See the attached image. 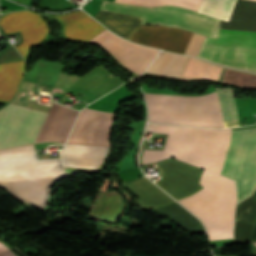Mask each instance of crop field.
<instances>
[{"instance_id":"crop-field-1","label":"crop field","mask_w":256,"mask_h":256,"mask_svg":"<svg viewBox=\"0 0 256 256\" xmlns=\"http://www.w3.org/2000/svg\"><path fill=\"white\" fill-rule=\"evenodd\" d=\"M146 131L169 133L164 151H145L144 164L170 157L204 169L200 179L204 187L179 200L206 225L209 239L232 236L236 200L234 182L219 175L230 129H203L148 124Z\"/></svg>"},{"instance_id":"crop-field-2","label":"crop field","mask_w":256,"mask_h":256,"mask_svg":"<svg viewBox=\"0 0 256 256\" xmlns=\"http://www.w3.org/2000/svg\"><path fill=\"white\" fill-rule=\"evenodd\" d=\"M109 147L66 144L65 166L97 168ZM65 175L60 158L38 160L34 145L0 150V186L12 195L44 209L49 185Z\"/></svg>"},{"instance_id":"crop-field-3","label":"crop field","mask_w":256,"mask_h":256,"mask_svg":"<svg viewBox=\"0 0 256 256\" xmlns=\"http://www.w3.org/2000/svg\"><path fill=\"white\" fill-rule=\"evenodd\" d=\"M144 95L149 111L148 122L223 127L216 92L199 97Z\"/></svg>"},{"instance_id":"crop-field-4","label":"crop field","mask_w":256,"mask_h":256,"mask_svg":"<svg viewBox=\"0 0 256 256\" xmlns=\"http://www.w3.org/2000/svg\"><path fill=\"white\" fill-rule=\"evenodd\" d=\"M196 57L256 72V32L219 29L217 38L205 37Z\"/></svg>"},{"instance_id":"crop-field-5","label":"crop field","mask_w":256,"mask_h":256,"mask_svg":"<svg viewBox=\"0 0 256 256\" xmlns=\"http://www.w3.org/2000/svg\"><path fill=\"white\" fill-rule=\"evenodd\" d=\"M220 174L235 181L237 202L251 195L256 181V127L231 131Z\"/></svg>"},{"instance_id":"crop-field-6","label":"crop field","mask_w":256,"mask_h":256,"mask_svg":"<svg viewBox=\"0 0 256 256\" xmlns=\"http://www.w3.org/2000/svg\"><path fill=\"white\" fill-rule=\"evenodd\" d=\"M100 9L140 16L143 17L142 23L173 26L214 37L220 22L219 19L172 6L144 8L102 1Z\"/></svg>"},{"instance_id":"crop-field-7","label":"crop field","mask_w":256,"mask_h":256,"mask_svg":"<svg viewBox=\"0 0 256 256\" xmlns=\"http://www.w3.org/2000/svg\"><path fill=\"white\" fill-rule=\"evenodd\" d=\"M46 114L12 103L0 110V148L33 143Z\"/></svg>"},{"instance_id":"crop-field-8","label":"crop field","mask_w":256,"mask_h":256,"mask_svg":"<svg viewBox=\"0 0 256 256\" xmlns=\"http://www.w3.org/2000/svg\"><path fill=\"white\" fill-rule=\"evenodd\" d=\"M156 164L162 177L155 183L176 199L190 195L201 188L198 182L202 169L172 159L156 162Z\"/></svg>"},{"instance_id":"crop-field-9","label":"crop field","mask_w":256,"mask_h":256,"mask_svg":"<svg viewBox=\"0 0 256 256\" xmlns=\"http://www.w3.org/2000/svg\"><path fill=\"white\" fill-rule=\"evenodd\" d=\"M91 41L101 44L119 60L120 64L140 75L158 52L157 49L125 41L106 29Z\"/></svg>"},{"instance_id":"crop-field-10","label":"crop field","mask_w":256,"mask_h":256,"mask_svg":"<svg viewBox=\"0 0 256 256\" xmlns=\"http://www.w3.org/2000/svg\"><path fill=\"white\" fill-rule=\"evenodd\" d=\"M0 29L6 33L21 32L22 43L16 48L25 57L28 48L44 38L48 27L39 14L20 11L4 15L0 19Z\"/></svg>"},{"instance_id":"crop-field-11","label":"crop field","mask_w":256,"mask_h":256,"mask_svg":"<svg viewBox=\"0 0 256 256\" xmlns=\"http://www.w3.org/2000/svg\"><path fill=\"white\" fill-rule=\"evenodd\" d=\"M192 34L178 28L141 25L129 40L183 54Z\"/></svg>"},{"instance_id":"crop-field-12","label":"crop field","mask_w":256,"mask_h":256,"mask_svg":"<svg viewBox=\"0 0 256 256\" xmlns=\"http://www.w3.org/2000/svg\"><path fill=\"white\" fill-rule=\"evenodd\" d=\"M78 112L53 103L34 143H64Z\"/></svg>"},{"instance_id":"crop-field-13","label":"crop field","mask_w":256,"mask_h":256,"mask_svg":"<svg viewBox=\"0 0 256 256\" xmlns=\"http://www.w3.org/2000/svg\"><path fill=\"white\" fill-rule=\"evenodd\" d=\"M56 17L64 24L65 35L74 39L88 41L105 29L82 11L58 15Z\"/></svg>"},{"instance_id":"crop-field-14","label":"crop field","mask_w":256,"mask_h":256,"mask_svg":"<svg viewBox=\"0 0 256 256\" xmlns=\"http://www.w3.org/2000/svg\"><path fill=\"white\" fill-rule=\"evenodd\" d=\"M124 185L137 196L138 200L136 203L139 207L156 208L168 205L174 201L145 177Z\"/></svg>"},{"instance_id":"crop-field-15","label":"crop field","mask_w":256,"mask_h":256,"mask_svg":"<svg viewBox=\"0 0 256 256\" xmlns=\"http://www.w3.org/2000/svg\"><path fill=\"white\" fill-rule=\"evenodd\" d=\"M219 28L256 31V2L237 0L229 22L221 20Z\"/></svg>"},{"instance_id":"crop-field-16","label":"crop field","mask_w":256,"mask_h":256,"mask_svg":"<svg viewBox=\"0 0 256 256\" xmlns=\"http://www.w3.org/2000/svg\"><path fill=\"white\" fill-rule=\"evenodd\" d=\"M93 17L109 30L128 39L140 25L142 18L99 10Z\"/></svg>"},{"instance_id":"crop-field-17","label":"crop field","mask_w":256,"mask_h":256,"mask_svg":"<svg viewBox=\"0 0 256 256\" xmlns=\"http://www.w3.org/2000/svg\"><path fill=\"white\" fill-rule=\"evenodd\" d=\"M24 74V61L0 64V101H10Z\"/></svg>"},{"instance_id":"crop-field-18","label":"crop field","mask_w":256,"mask_h":256,"mask_svg":"<svg viewBox=\"0 0 256 256\" xmlns=\"http://www.w3.org/2000/svg\"><path fill=\"white\" fill-rule=\"evenodd\" d=\"M187 58V56L162 51L146 73L180 78Z\"/></svg>"},{"instance_id":"crop-field-19","label":"crop field","mask_w":256,"mask_h":256,"mask_svg":"<svg viewBox=\"0 0 256 256\" xmlns=\"http://www.w3.org/2000/svg\"><path fill=\"white\" fill-rule=\"evenodd\" d=\"M121 209L119 196L100 191L89 217L114 221Z\"/></svg>"},{"instance_id":"crop-field-20","label":"crop field","mask_w":256,"mask_h":256,"mask_svg":"<svg viewBox=\"0 0 256 256\" xmlns=\"http://www.w3.org/2000/svg\"><path fill=\"white\" fill-rule=\"evenodd\" d=\"M224 127L239 125L231 88H216Z\"/></svg>"},{"instance_id":"crop-field-21","label":"crop field","mask_w":256,"mask_h":256,"mask_svg":"<svg viewBox=\"0 0 256 256\" xmlns=\"http://www.w3.org/2000/svg\"><path fill=\"white\" fill-rule=\"evenodd\" d=\"M221 68L198 59L189 58L181 78L207 77L218 79Z\"/></svg>"},{"instance_id":"crop-field-22","label":"crop field","mask_w":256,"mask_h":256,"mask_svg":"<svg viewBox=\"0 0 256 256\" xmlns=\"http://www.w3.org/2000/svg\"><path fill=\"white\" fill-rule=\"evenodd\" d=\"M236 0H202L199 13L228 21Z\"/></svg>"},{"instance_id":"crop-field-23","label":"crop field","mask_w":256,"mask_h":256,"mask_svg":"<svg viewBox=\"0 0 256 256\" xmlns=\"http://www.w3.org/2000/svg\"><path fill=\"white\" fill-rule=\"evenodd\" d=\"M118 3L155 7L161 5H175L197 11L201 0H114Z\"/></svg>"},{"instance_id":"crop-field-24","label":"crop field","mask_w":256,"mask_h":256,"mask_svg":"<svg viewBox=\"0 0 256 256\" xmlns=\"http://www.w3.org/2000/svg\"><path fill=\"white\" fill-rule=\"evenodd\" d=\"M235 220L256 223V200L248 198L236 208Z\"/></svg>"},{"instance_id":"crop-field-25","label":"crop field","mask_w":256,"mask_h":256,"mask_svg":"<svg viewBox=\"0 0 256 256\" xmlns=\"http://www.w3.org/2000/svg\"><path fill=\"white\" fill-rule=\"evenodd\" d=\"M222 83L256 87V76L226 69Z\"/></svg>"},{"instance_id":"crop-field-26","label":"crop field","mask_w":256,"mask_h":256,"mask_svg":"<svg viewBox=\"0 0 256 256\" xmlns=\"http://www.w3.org/2000/svg\"><path fill=\"white\" fill-rule=\"evenodd\" d=\"M255 224L235 222V242H248Z\"/></svg>"},{"instance_id":"crop-field-27","label":"crop field","mask_w":256,"mask_h":256,"mask_svg":"<svg viewBox=\"0 0 256 256\" xmlns=\"http://www.w3.org/2000/svg\"><path fill=\"white\" fill-rule=\"evenodd\" d=\"M203 38V36L194 33L184 54L195 56Z\"/></svg>"},{"instance_id":"crop-field-28","label":"crop field","mask_w":256,"mask_h":256,"mask_svg":"<svg viewBox=\"0 0 256 256\" xmlns=\"http://www.w3.org/2000/svg\"><path fill=\"white\" fill-rule=\"evenodd\" d=\"M0 256H16L8 247L0 243Z\"/></svg>"},{"instance_id":"crop-field-29","label":"crop field","mask_w":256,"mask_h":256,"mask_svg":"<svg viewBox=\"0 0 256 256\" xmlns=\"http://www.w3.org/2000/svg\"><path fill=\"white\" fill-rule=\"evenodd\" d=\"M252 241H256V226L254 228L253 234H252L251 239H250L249 242H252Z\"/></svg>"},{"instance_id":"crop-field-30","label":"crop field","mask_w":256,"mask_h":256,"mask_svg":"<svg viewBox=\"0 0 256 256\" xmlns=\"http://www.w3.org/2000/svg\"><path fill=\"white\" fill-rule=\"evenodd\" d=\"M250 197H252V198L256 199V190H255V192L253 193V195H252V196H250Z\"/></svg>"},{"instance_id":"crop-field-31","label":"crop field","mask_w":256,"mask_h":256,"mask_svg":"<svg viewBox=\"0 0 256 256\" xmlns=\"http://www.w3.org/2000/svg\"><path fill=\"white\" fill-rule=\"evenodd\" d=\"M215 256H221V255H216V254H214Z\"/></svg>"},{"instance_id":"crop-field-32","label":"crop field","mask_w":256,"mask_h":256,"mask_svg":"<svg viewBox=\"0 0 256 256\" xmlns=\"http://www.w3.org/2000/svg\"><path fill=\"white\" fill-rule=\"evenodd\" d=\"M254 245H256V242H254Z\"/></svg>"},{"instance_id":"crop-field-33","label":"crop field","mask_w":256,"mask_h":256,"mask_svg":"<svg viewBox=\"0 0 256 256\" xmlns=\"http://www.w3.org/2000/svg\"><path fill=\"white\" fill-rule=\"evenodd\" d=\"M254 1H256V0H254Z\"/></svg>"}]
</instances>
